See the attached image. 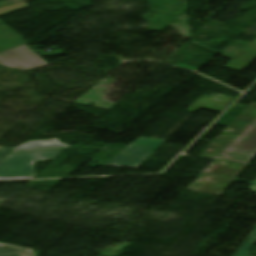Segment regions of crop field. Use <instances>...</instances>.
Segmentation results:
<instances>
[{
  "mask_svg": "<svg viewBox=\"0 0 256 256\" xmlns=\"http://www.w3.org/2000/svg\"><path fill=\"white\" fill-rule=\"evenodd\" d=\"M144 160L145 159L142 158L117 156L107 165L137 168L142 164Z\"/></svg>",
  "mask_w": 256,
  "mask_h": 256,
  "instance_id": "obj_11",
  "label": "crop field"
},
{
  "mask_svg": "<svg viewBox=\"0 0 256 256\" xmlns=\"http://www.w3.org/2000/svg\"><path fill=\"white\" fill-rule=\"evenodd\" d=\"M256 58V41L230 60L224 68L242 72Z\"/></svg>",
  "mask_w": 256,
  "mask_h": 256,
  "instance_id": "obj_8",
  "label": "crop field"
},
{
  "mask_svg": "<svg viewBox=\"0 0 256 256\" xmlns=\"http://www.w3.org/2000/svg\"><path fill=\"white\" fill-rule=\"evenodd\" d=\"M58 142L57 139H52V140H42V141H32V142H27L22 146H30V145H38V144H47V143H55ZM20 146V147H22Z\"/></svg>",
  "mask_w": 256,
  "mask_h": 256,
  "instance_id": "obj_15",
  "label": "crop field"
},
{
  "mask_svg": "<svg viewBox=\"0 0 256 256\" xmlns=\"http://www.w3.org/2000/svg\"><path fill=\"white\" fill-rule=\"evenodd\" d=\"M25 7H28L26 2L20 3V4H16V5H12V6H8V7H4V8H0V15H3V14L8 13V12H11V11H13L15 9L25 8Z\"/></svg>",
  "mask_w": 256,
  "mask_h": 256,
  "instance_id": "obj_14",
  "label": "crop field"
},
{
  "mask_svg": "<svg viewBox=\"0 0 256 256\" xmlns=\"http://www.w3.org/2000/svg\"><path fill=\"white\" fill-rule=\"evenodd\" d=\"M0 65L25 71L49 64L30 47L24 44L12 50L0 53Z\"/></svg>",
  "mask_w": 256,
  "mask_h": 256,
  "instance_id": "obj_3",
  "label": "crop field"
},
{
  "mask_svg": "<svg viewBox=\"0 0 256 256\" xmlns=\"http://www.w3.org/2000/svg\"><path fill=\"white\" fill-rule=\"evenodd\" d=\"M63 150L8 155L0 162V177L36 174L35 161L55 159Z\"/></svg>",
  "mask_w": 256,
  "mask_h": 256,
  "instance_id": "obj_2",
  "label": "crop field"
},
{
  "mask_svg": "<svg viewBox=\"0 0 256 256\" xmlns=\"http://www.w3.org/2000/svg\"><path fill=\"white\" fill-rule=\"evenodd\" d=\"M256 119V104L253 103L235 122L228 128V133L237 134L233 139L219 137L204 155H220L239 135Z\"/></svg>",
  "mask_w": 256,
  "mask_h": 256,
  "instance_id": "obj_5",
  "label": "crop field"
},
{
  "mask_svg": "<svg viewBox=\"0 0 256 256\" xmlns=\"http://www.w3.org/2000/svg\"><path fill=\"white\" fill-rule=\"evenodd\" d=\"M256 243V228L248 239L243 243L239 250L234 254V256H249L251 252L250 249Z\"/></svg>",
  "mask_w": 256,
  "mask_h": 256,
  "instance_id": "obj_12",
  "label": "crop field"
},
{
  "mask_svg": "<svg viewBox=\"0 0 256 256\" xmlns=\"http://www.w3.org/2000/svg\"><path fill=\"white\" fill-rule=\"evenodd\" d=\"M35 176H36V175H32V176H21V177H10V178H0V181L33 179Z\"/></svg>",
  "mask_w": 256,
  "mask_h": 256,
  "instance_id": "obj_16",
  "label": "crop field"
},
{
  "mask_svg": "<svg viewBox=\"0 0 256 256\" xmlns=\"http://www.w3.org/2000/svg\"><path fill=\"white\" fill-rule=\"evenodd\" d=\"M21 252V253H19ZM0 256H36L32 249L0 244Z\"/></svg>",
  "mask_w": 256,
  "mask_h": 256,
  "instance_id": "obj_10",
  "label": "crop field"
},
{
  "mask_svg": "<svg viewBox=\"0 0 256 256\" xmlns=\"http://www.w3.org/2000/svg\"><path fill=\"white\" fill-rule=\"evenodd\" d=\"M255 184H256V181L254 182ZM249 190H251V191H256V185H252L250 188H249Z\"/></svg>",
  "mask_w": 256,
  "mask_h": 256,
  "instance_id": "obj_18",
  "label": "crop field"
},
{
  "mask_svg": "<svg viewBox=\"0 0 256 256\" xmlns=\"http://www.w3.org/2000/svg\"><path fill=\"white\" fill-rule=\"evenodd\" d=\"M223 164L212 163L204 172L200 184L193 183L188 189L213 195L222 194L246 164L226 160Z\"/></svg>",
  "mask_w": 256,
  "mask_h": 256,
  "instance_id": "obj_1",
  "label": "crop field"
},
{
  "mask_svg": "<svg viewBox=\"0 0 256 256\" xmlns=\"http://www.w3.org/2000/svg\"><path fill=\"white\" fill-rule=\"evenodd\" d=\"M165 140L139 138L120 154L149 157Z\"/></svg>",
  "mask_w": 256,
  "mask_h": 256,
  "instance_id": "obj_6",
  "label": "crop field"
},
{
  "mask_svg": "<svg viewBox=\"0 0 256 256\" xmlns=\"http://www.w3.org/2000/svg\"><path fill=\"white\" fill-rule=\"evenodd\" d=\"M22 43L26 41L0 19V51Z\"/></svg>",
  "mask_w": 256,
  "mask_h": 256,
  "instance_id": "obj_9",
  "label": "crop field"
},
{
  "mask_svg": "<svg viewBox=\"0 0 256 256\" xmlns=\"http://www.w3.org/2000/svg\"><path fill=\"white\" fill-rule=\"evenodd\" d=\"M234 100L235 98L221 94H218L212 98L202 97L187 108V110L194 112L200 108H206L222 113Z\"/></svg>",
  "mask_w": 256,
  "mask_h": 256,
  "instance_id": "obj_7",
  "label": "crop field"
},
{
  "mask_svg": "<svg viewBox=\"0 0 256 256\" xmlns=\"http://www.w3.org/2000/svg\"><path fill=\"white\" fill-rule=\"evenodd\" d=\"M222 154L229 159L250 163L256 156V120Z\"/></svg>",
  "mask_w": 256,
  "mask_h": 256,
  "instance_id": "obj_4",
  "label": "crop field"
},
{
  "mask_svg": "<svg viewBox=\"0 0 256 256\" xmlns=\"http://www.w3.org/2000/svg\"><path fill=\"white\" fill-rule=\"evenodd\" d=\"M14 149L15 148H3V147H0V160L3 159L5 156H7Z\"/></svg>",
  "mask_w": 256,
  "mask_h": 256,
  "instance_id": "obj_17",
  "label": "crop field"
},
{
  "mask_svg": "<svg viewBox=\"0 0 256 256\" xmlns=\"http://www.w3.org/2000/svg\"><path fill=\"white\" fill-rule=\"evenodd\" d=\"M68 146L69 145L55 143V144H47V145H39V146L22 147V148L15 149L10 154L21 153V152H30V151H38V150H46V149L63 148V147H68Z\"/></svg>",
  "mask_w": 256,
  "mask_h": 256,
  "instance_id": "obj_13",
  "label": "crop field"
}]
</instances>
